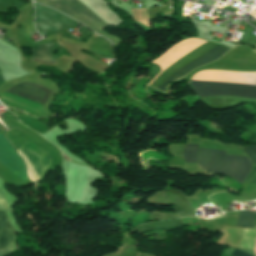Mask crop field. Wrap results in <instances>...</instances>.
Wrapping results in <instances>:
<instances>
[{
  "instance_id": "8a807250",
  "label": "crop field",
  "mask_w": 256,
  "mask_h": 256,
  "mask_svg": "<svg viewBox=\"0 0 256 256\" xmlns=\"http://www.w3.org/2000/svg\"><path fill=\"white\" fill-rule=\"evenodd\" d=\"M218 45L212 44V43H205L190 52L188 55L174 63L172 66H170L166 71H164L150 86L156 87L157 89L171 76H173L175 73H177L180 69H182L187 64L191 63L195 59L199 58L203 54L207 53L212 48L216 47ZM229 49L219 46L204 56L200 57L196 61L192 62L188 66L184 67L182 70H180L177 74H175L173 77H171L169 80H167L159 89L165 90L166 86L173 80H176L184 75H186L189 71L195 69L198 66L205 65L213 60L218 59L221 55H223L226 51Z\"/></svg>"
},
{
  "instance_id": "ac0d7876",
  "label": "crop field",
  "mask_w": 256,
  "mask_h": 256,
  "mask_svg": "<svg viewBox=\"0 0 256 256\" xmlns=\"http://www.w3.org/2000/svg\"><path fill=\"white\" fill-rule=\"evenodd\" d=\"M36 2L55 8L56 10L68 15L69 17L83 23L92 31L106 37L109 39L113 45L117 44L120 39L116 37H111L101 30L104 29L107 24H105L101 19H99L95 14H93L89 9H87L78 0H35Z\"/></svg>"
},
{
  "instance_id": "34b2d1b8",
  "label": "crop field",
  "mask_w": 256,
  "mask_h": 256,
  "mask_svg": "<svg viewBox=\"0 0 256 256\" xmlns=\"http://www.w3.org/2000/svg\"><path fill=\"white\" fill-rule=\"evenodd\" d=\"M191 86L199 97L234 95L256 99V86L252 85L191 81Z\"/></svg>"
},
{
  "instance_id": "412701ff",
  "label": "crop field",
  "mask_w": 256,
  "mask_h": 256,
  "mask_svg": "<svg viewBox=\"0 0 256 256\" xmlns=\"http://www.w3.org/2000/svg\"><path fill=\"white\" fill-rule=\"evenodd\" d=\"M20 150L24 151L26 155H28L31 159V163L33 165V173L35 175L34 182L39 180L51 165V155L45 149L30 141L26 143ZM20 150L18 151V154L25 161L28 178L33 181L34 176L32 174V166L30 164V160L25 155V153Z\"/></svg>"
},
{
  "instance_id": "f4fd0767",
  "label": "crop field",
  "mask_w": 256,
  "mask_h": 256,
  "mask_svg": "<svg viewBox=\"0 0 256 256\" xmlns=\"http://www.w3.org/2000/svg\"><path fill=\"white\" fill-rule=\"evenodd\" d=\"M35 24L38 32L55 31L61 28L62 23L78 26L80 23L52 10L35 3Z\"/></svg>"
},
{
  "instance_id": "dd49c442",
  "label": "crop field",
  "mask_w": 256,
  "mask_h": 256,
  "mask_svg": "<svg viewBox=\"0 0 256 256\" xmlns=\"http://www.w3.org/2000/svg\"><path fill=\"white\" fill-rule=\"evenodd\" d=\"M251 168L252 163L248 157L226 154L225 161L218 174H224L242 184Z\"/></svg>"
},
{
  "instance_id": "e52e79f7",
  "label": "crop field",
  "mask_w": 256,
  "mask_h": 256,
  "mask_svg": "<svg viewBox=\"0 0 256 256\" xmlns=\"http://www.w3.org/2000/svg\"><path fill=\"white\" fill-rule=\"evenodd\" d=\"M0 162L22 179H26L24 162L11 144L0 134Z\"/></svg>"
},
{
  "instance_id": "d8731c3e",
  "label": "crop field",
  "mask_w": 256,
  "mask_h": 256,
  "mask_svg": "<svg viewBox=\"0 0 256 256\" xmlns=\"http://www.w3.org/2000/svg\"><path fill=\"white\" fill-rule=\"evenodd\" d=\"M6 92L42 105L52 93V91L32 83H21L10 89H7Z\"/></svg>"
},
{
  "instance_id": "5a996713",
  "label": "crop field",
  "mask_w": 256,
  "mask_h": 256,
  "mask_svg": "<svg viewBox=\"0 0 256 256\" xmlns=\"http://www.w3.org/2000/svg\"><path fill=\"white\" fill-rule=\"evenodd\" d=\"M164 197L175 208L177 214L180 216H195L191 206L186 201L185 196L176 190H167L161 192Z\"/></svg>"
},
{
  "instance_id": "3316defc",
  "label": "crop field",
  "mask_w": 256,
  "mask_h": 256,
  "mask_svg": "<svg viewBox=\"0 0 256 256\" xmlns=\"http://www.w3.org/2000/svg\"><path fill=\"white\" fill-rule=\"evenodd\" d=\"M14 229L8 224L6 214L0 211V256L11 252Z\"/></svg>"
},
{
  "instance_id": "28ad6ade",
  "label": "crop field",
  "mask_w": 256,
  "mask_h": 256,
  "mask_svg": "<svg viewBox=\"0 0 256 256\" xmlns=\"http://www.w3.org/2000/svg\"><path fill=\"white\" fill-rule=\"evenodd\" d=\"M53 49H54V43L36 45L33 52L32 60L42 62V63L55 64L56 59L52 54Z\"/></svg>"
},
{
  "instance_id": "d1516ede",
  "label": "crop field",
  "mask_w": 256,
  "mask_h": 256,
  "mask_svg": "<svg viewBox=\"0 0 256 256\" xmlns=\"http://www.w3.org/2000/svg\"><path fill=\"white\" fill-rule=\"evenodd\" d=\"M88 52L106 59L115 57L110 42L103 39L94 38Z\"/></svg>"
},
{
  "instance_id": "22f410ed",
  "label": "crop field",
  "mask_w": 256,
  "mask_h": 256,
  "mask_svg": "<svg viewBox=\"0 0 256 256\" xmlns=\"http://www.w3.org/2000/svg\"><path fill=\"white\" fill-rule=\"evenodd\" d=\"M182 226H184V223L181 221V219H179L175 221L145 224V225L139 226L138 228H136L134 231L130 233L137 231L140 234L149 229L174 228V227H182Z\"/></svg>"
},
{
  "instance_id": "cbeb9de0",
  "label": "crop field",
  "mask_w": 256,
  "mask_h": 256,
  "mask_svg": "<svg viewBox=\"0 0 256 256\" xmlns=\"http://www.w3.org/2000/svg\"><path fill=\"white\" fill-rule=\"evenodd\" d=\"M225 157V151L211 150V161L209 171L217 174Z\"/></svg>"
},
{
  "instance_id": "5142ce71",
  "label": "crop field",
  "mask_w": 256,
  "mask_h": 256,
  "mask_svg": "<svg viewBox=\"0 0 256 256\" xmlns=\"http://www.w3.org/2000/svg\"><path fill=\"white\" fill-rule=\"evenodd\" d=\"M255 215V213L249 210L241 211L237 226L252 228Z\"/></svg>"
},
{
  "instance_id": "d9b57169",
  "label": "crop field",
  "mask_w": 256,
  "mask_h": 256,
  "mask_svg": "<svg viewBox=\"0 0 256 256\" xmlns=\"http://www.w3.org/2000/svg\"><path fill=\"white\" fill-rule=\"evenodd\" d=\"M197 151H198V145H186L183 153L185 162L197 163Z\"/></svg>"
},
{
  "instance_id": "733c2abd",
  "label": "crop field",
  "mask_w": 256,
  "mask_h": 256,
  "mask_svg": "<svg viewBox=\"0 0 256 256\" xmlns=\"http://www.w3.org/2000/svg\"><path fill=\"white\" fill-rule=\"evenodd\" d=\"M131 13L134 21L150 27L148 15L145 9L131 10Z\"/></svg>"
},
{
  "instance_id": "4a817a6b",
  "label": "crop field",
  "mask_w": 256,
  "mask_h": 256,
  "mask_svg": "<svg viewBox=\"0 0 256 256\" xmlns=\"http://www.w3.org/2000/svg\"><path fill=\"white\" fill-rule=\"evenodd\" d=\"M210 161V150L200 148L199 166L208 170Z\"/></svg>"
},
{
  "instance_id": "bc2a9ffb",
  "label": "crop field",
  "mask_w": 256,
  "mask_h": 256,
  "mask_svg": "<svg viewBox=\"0 0 256 256\" xmlns=\"http://www.w3.org/2000/svg\"><path fill=\"white\" fill-rule=\"evenodd\" d=\"M243 151L247 153L251 159V161L256 164V146H245L243 147Z\"/></svg>"
},
{
  "instance_id": "214f88e0",
  "label": "crop field",
  "mask_w": 256,
  "mask_h": 256,
  "mask_svg": "<svg viewBox=\"0 0 256 256\" xmlns=\"http://www.w3.org/2000/svg\"><path fill=\"white\" fill-rule=\"evenodd\" d=\"M135 248L134 246L124 247V252L122 253L121 256H137L138 253L136 252Z\"/></svg>"
},
{
  "instance_id": "92a150f3",
  "label": "crop field",
  "mask_w": 256,
  "mask_h": 256,
  "mask_svg": "<svg viewBox=\"0 0 256 256\" xmlns=\"http://www.w3.org/2000/svg\"><path fill=\"white\" fill-rule=\"evenodd\" d=\"M246 181L251 182L256 187V166L253 165V169L246 178Z\"/></svg>"
},
{
  "instance_id": "dafd665d",
  "label": "crop field",
  "mask_w": 256,
  "mask_h": 256,
  "mask_svg": "<svg viewBox=\"0 0 256 256\" xmlns=\"http://www.w3.org/2000/svg\"><path fill=\"white\" fill-rule=\"evenodd\" d=\"M232 256H252V255L235 249L234 252L232 253Z\"/></svg>"
},
{
  "instance_id": "00972430",
  "label": "crop field",
  "mask_w": 256,
  "mask_h": 256,
  "mask_svg": "<svg viewBox=\"0 0 256 256\" xmlns=\"http://www.w3.org/2000/svg\"><path fill=\"white\" fill-rule=\"evenodd\" d=\"M0 208H3V209H7L8 208L6 203H5V201H4V199H3V197H2V195H1V193H0Z\"/></svg>"
},
{
  "instance_id": "a9b5d70f",
  "label": "crop field",
  "mask_w": 256,
  "mask_h": 256,
  "mask_svg": "<svg viewBox=\"0 0 256 256\" xmlns=\"http://www.w3.org/2000/svg\"><path fill=\"white\" fill-rule=\"evenodd\" d=\"M2 83H4V81H3L2 77H1V73H0V85H1Z\"/></svg>"
},
{
  "instance_id": "4177f3b9",
  "label": "crop field",
  "mask_w": 256,
  "mask_h": 256,
  "mask_svg": "<svg viewBox=\"0 0 256 256\" xmlns=\"http://www.w3.org/2000/svg\"><path fill=\"white\" fill-rule=\"evenodd\" d=\"M253 228H256V220H255V223H254V227Z\"/></svg>"
},
{
  "instance_id": "730fd06b",
  "label": "crop field",
  "mask_w": 256,
  "mask_h": 256,
  "mask_svg": "<svg viewBox=\"0 0 256 256\" xmlns=\"http://www.w3.org/2000/svg\"><path fill=\"white\" fill-rule=\"evenodd\" d=\"M255 255H256V245H255V249H254Z\"/></svg>"
}]
</instances>
